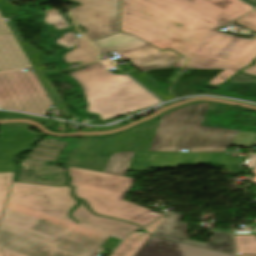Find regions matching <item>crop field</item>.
Wrapping results in <instances>:
<instances>
[{"label":"crop field","mask_w":256,"mask_h":256,"mask_svg":"<svg viewBox=\"0 0 256 256\" xmlns=\"http://www.w3.org/2000/svg\"><path fill=\"white\" fill-rule=\"evenodd\" d=\"M253 10L238 0H122V31L182 55L171 67L226 69L207 83L219 85L256 57V39L216 29Z\"/></svg>","instance_id":"crop-field-1"},{"label":"crop field","mask_w":256,"mask_h":256,"mask_svg":"<svg viewBox=\"0 0 256 256\" xmlns=\"http://www.w3.org/2000/svg\"><path fill=\"white\" fill-rule=\"evenodd\" d=\"M71 187L13 182L0 220V248L22 256H91L108 238L69 217Z\"/></svg>","instance_id":"crop-field-2"},{"label":"crop field","mask_w":256,"mask_h":256,"mask_svg":"<svg viewBox=\"0 0 256 256\" xmlns=\"http://www.w3.org/2000/svg\"><path fill=\"white\" fill-rule=\"evenodd\" d=\"M208 101L169 110L150 122L104 139H86L72 149L67 164L103 169L110 153L120 150L193 152L225 151L229 145L250 147L256 133L198 125Z\"/></svg>","instance_id":"crop-field-3"},{"label":"crop field","mask_w":256,"mask_h":256,"mask_svg":"<svg viewBox=\"0 0 256 256\" xmlns=\"http://www.w3.org/2000/svg\"><path fill=\"white\" fill-rule=\"evenodd\" d=\"M70 75L82 85L89 112L101 120L161 103L130 77L108 73L100 62Z\"/></svg>","instance_id":"crop-field-4"},{"label":"crop field","mask_w":256,"mask_h":256,"mask_svg":"<svg viewBox=\"0 0 256 256\" xmlns=\"http://www.w3.org/2000/svg\"><path fill=\"white\" fill-rule=\"evenodd\" d=\"M69 168L71 186H76L77 197L87 201L97 214L112 216L134 222L142 227L159 219L147 213L151 209L124 200L125 193L132 187L135 179L100 172Z\"/></svg>","instance_id":"crop-field-5"},{"label":"crop field","mask_w":256,"mask_h":256,"mask_svg":"<svg viewBox=\"0 0 256 256\" xmlns=\"http://www.w3.org/2000/svg\"><path fill=\"white\" fill-rule=\"evenodd\" d=\"M225 153H154L143 151L119 152L111 155L103 172L125 176L127 170L148 171L150 168L175 167L179 165L215 163L231 167L239 165L244 158H227Z\"/></svg>","instance_id":"crop-field-6"},{"label":"crop field","mask_w":256,"mask_h":256,"mask_svg":"<svg viewBox=\"0 0 256 256\" xmlns=\"http://www.w3.org/2000/svg\"><path fill=\"white\" fill-rule=\"evenodd\" d=\"M33 72L21 69L0 72V105L2 109H13L46 116L49 98Z\"/></svg>","instance_id":"crop-field-7"},{"label":"crop field","mask_w":256,"mask_h":256,"mask_svg":"<svg viewBox=\"0 0 256 256\" xmlns=\"http://www.w3.org/2000/svg\"><path fill=\"white\" fill-rule=\"evenodd\" d=\"M93 44L102 54L117 50L144 72L169 68L181 57L170 50L159 52L145 40L123 32Z\"/></svg>","instance_id":"crop-field-8"},{"label":"crop field","mask_w":256,"mask_h":256,"mask_svg":"<svg viewBox=\"0 0 256 256\" xmlns=\"http://www.w3.org/2000/svg\"><path fill=\"white\" fill-rule=\"evenodd\" d=\"M81 6L71 9L78 25L92 41L119 31V0H73Z\"/></svg>","instance_id":"crop-field-9"},{"label":"crop field","mask_w":256,"mask_h":256,"mask_svg":"<svg viewBox=\"0 0 256 256\" xmlns=\"http://www.w3.org/2000/svg\"><path fill=\"white\" fill-rule=\"evenodd\" d=\"M184 216L181 213L169 215L153 235L234 254L231 233L208 231V233L212 234V239L209 243L188 240L187 227L179 222Z\"/></svg>","instance_id":"crop-field-10"},{"label":"crop field","mask_w":256,"mask_h":256,"mask_svg":"<svg viewBox=\"0 0 256 256\" xmlns=\"http://www.w3.org/2000/svg\"><path fill=\"white\" fill-rule=\"evenodd\" d=\"M72 216L84 227L112 236L120 241L130 232L141 227L120 220L93 215L81 201V204L72 212Z\"/></svg>","instance_id":"crop-field-11"},{"label":"crop field","mask_w":256,"mask_h":256,"mask_svg":"<svg viewBox=\"0 0 256 256\" xmlns=\"http://www.w3.org/2000/svg\"><path fill=\"white\" fill-rule=\"evenodd\" d=\"M135 256H234L151 236Z\"/></svg>","instance_id":"crop-field-12"},{"label":"crop field","mask_w":256,"mask_h":256,"mask_svg":"<svg viewBox=\"0 0 256 256\" xmlns=\"http://www.w3.org/2000/svg\"><path fill=\"white\" fill-rule=\"evenodd\" d=\"M67 142H60L58 139L47 138L39 143L35 149L25 158L20 166L43 169L48 161H58L61 152Z\"/></svg>","instance_id":"crop-field-13"},{"label":"crop field","mask_w":256,"mask_h":256,"mask_svg":"<svg viewBox=\"0 0 256 256\" xmlns=\"http://www.w3.org/2000/svg\"><path fill=\"white\" fill-rule=\"evenodd\" d=\"M29 66L0 18V70Z\"/></svg>","instance_id":"crop-field-14"},{"label":"crop field","mask_w":256,"mask_h":256,"mask_svg":"<svg viewBox=\"0 0 256 256\" xmlns=\"http://www.w3.org/2000/svg\"><path fill=\"white\" fill-rule=\"evenodd\" d=\"M19 181L48 185H66L64 169L58 166H47L44 170L23 167L20 169Z\"/></svg>","instance_id":"crop-field-15"},{"label":"crop field","mask_w":256,"mask_h":256,"mask_svg":"<svg viewBox=\"0 0 256 256\" xmlns=\"http://www.w3.org/2000/svg\"><path fill=\"white\" fill-rule=\"evenodd\" d=\"M76 41L78 47L72 52L64 55L67 63L82 61L84 64H87L97 61L95 58L97 52L84 37L77 38Z\"/></svg>","instance_id":"crop-field-16"},{"label":"crop field","mask_w":256,"mask_h":256,"mask_svg":"<svg viewBox=\"0 0 256 256\" xmlns=\"http://www.w3.org/2000/svg\"><path fill=\"white\" fill-rule=\"evenodd\" d=\"M45 12H46L47 16L44 20L47 23L57 24L55 27L56 29H63V28H67V27L70 28V26L67 24V22L63 19V17L59 14L58 11L52 9V10H48ZM75 39H76V37L72 30V32L66 33L63 37L58 39L56 42L59 45H63L67 48H70V47H74L77 45Z\"/></svg>","instance_id":"crop-field-17"},{"label":"crop field","mask_w":256,"mask_h":256,"mask_svg":"<svg viewBox=\"0 0 256 256\" xmlns=\"http://www.w3.org/2000/svg\"><path fill=\"white\" fill-rule=\"evenodd\" d=\"M151 235L147 233L132 234L117 248L112 256H134L140 247L147 241Z\"/></svg>","instance_id":"crop-field-18"},{"label":"crop field","mask_w":256,"mask_h":256,"mask_svg":"<svg viewBox=\"0 0 256 256\" xmlns=\"http://www.w3.org/2000/svg\"><path fill=\"white\" fill-rule=\"evenodd\" d=\"M238 254L256 255V235H235Z\"/></svg>","instance_id":"crop-field-19"},{"label":"crop field","mask_w":256,"mask_h":256,"mask_svg":"<svg viewBox=\"0 0 256 256\" xmlns=\"http://www.w3.org/2000/svg\"><path fill=\"white\" fill-rule=\"evenodd\" d=\"M15 173H0V217ZM0 256H3L0 251Z\"/></svg>","instance_id":"crop-field-20"},{"label":"crop field","mask_w":256,"mask_h":256,"mask_svg":"<svg viewBox=\"0 0 256 256\" xmlns=\"http://www.w3.org/2000/svg\"><path fill=\"white\" fill-rule=\"evenodd\" d=\"M237 83H256V76L240 72L224 84H237Z\"/></svg>","instance_id":"crop-field-21"},{"label":"crop field","mask_w":256,"mask_h":256,"mask_svg":"<svg viewBox=\"0 0 256 256\" xmlns=\"http://www.w3.org/2000/svg\"><path fill=\"white\" fill-rule=\"evenodd\" d=\"M256 32V11L235 21Z\"/></svg>","instance_id":"crop-field-22"},{"label":"crop field","mask_w":256,"mask_h":256,"mask_svg":"<svg viewBox=\"0 0 256 256\" xmlns=\"http://www.w3.org/2000/svg\"><path fill=\"white\" fill-rule=\"evenodd\" d=\"M3 113H4L5 116H21V117L33 118L37 122L43 124L46 128H52V126L55 123V121H53V120H44V119H41V118H37V117L29 116V115H24V114L11 113V112H3Z\"/></svg>","instance_id":"crop-field-23"},{"label":"crop field","mask_w":256,"mask_h":256,"mask_svg":"<svg viewBox=\"0 0 256 256\" xmlns=\"http://www.w3.org/2000/svg\"><path fill=\"white\" fill-rule=\"evenodd\" d=\"M217 104H218V103H216V102H210V104H209V106H208V108H207V109H209L208 112H210V114H208V112H207L206 116H205V117L203 116V118H202V120H201V122H200L201 125H206V126L209 125L210 120H211V118H212V117H211L212 112H214V110H215ZM206 111H207V110H206ZM205 113H206V112H205ZM204 115H205V114H204Z\"/></svg>","instance_id":"crop-field-24"},{"label":"crop field","mask_w":256,"mask_h":256,"mask_svg":"<svg viewBox=\"0 0 256 256\" xmlns=\"http://www.w3.org/2000/svg\"><path fill=\"white\" fill-rule=\"evenodd\" d=\"M166 219V217L160 219L159 221L153 223L151 226H149L148 228H146V230L152 234L153 232H155L157 230V228L162 224V222Z\"/></svg>","instance_id":"crop-field-25"},{"label":"crop field","mask_w":256,"mask_h":256,"mask_svg":"<svg viewBox=\"0 0 256 256\" xmlns=\"http://www.w3.org/2000/svg\"><path fill=\"white\" fill-rule=\"evenodd\" d=\"M242 72H246V73H250V74L256 75V66L248 68V69H245Z\"/></svg>","instance_id":"crop-field-26"},{"label":"crop field","mask_w":256,"mask_h":256,"mask_svg":"<svg viewBox=\"0 0 256 256\" xmlns=\"http://www.w3.org/2000/svg\"><path fill=\"white\" fill-rule=\"evenodd\" d=\"M1 251H2V253H3L4 256H19V255H16V254H13V253L4 251V250H1Z\"/></svg>","instance_id":"crop-field-27"},{"label":"crop field","mask_w":256,"mask_h":256,"mask_svg":"<svg viewBox=\"0 0 256 256\" xmlns=\"http://www.w3.org/2000/svg\"><path fill=\"white\" fill-rule=\"evenodd\" d=\"M246 2H248L249 4L253 5L256 7V0H244Z\"/></svg>","instance_id":"crop-field-28"},{"label":"crop field","mask_w":256,"mask_h":256,"mask_svg":"<svg viewBox=\"0 0 256 256\" xmlns=\"http://www.w3.org/2000/svg\"><path fill=\"white\" fill-rule=\"evenodd\" d=\"M254 174H256V169L253 171ZM252 181H256V176L251 179Z\"/></svg>","instance_id":"crop-field-29"},{"label":"crop field","mask_w":256,"mask_h":256,"mask_svg":"<svg viewBox=\"0 0 256 256\" xmlns=\"http://www.w3.org/2000/svg\"><path fill=\"white\" fill-rule=\"evenodd\" d=\"M0 117H4V115L2 114V112H0Z\"/></svg>","instance_id":"crop-field-30"}]
</instances>
